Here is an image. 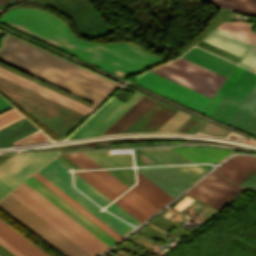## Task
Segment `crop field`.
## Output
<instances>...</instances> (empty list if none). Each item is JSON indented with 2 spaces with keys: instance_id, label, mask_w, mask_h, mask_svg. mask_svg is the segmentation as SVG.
<instances>
[{
  "instance_id": "crop-field-38",
  "label": "crop field",
  "mask_w": 256,
  "mask_h": 256,
  "mask_svg": "<svg viewBox=\"0 0 256 256\" xmlns=\"http://www.w3.org/2000/svg\"><path fill=\"white\" fill-rule=\"evenodd\" d=\"M115 204H117L119 207H121L123 210L128 212L130 215H132L134 218H136L140 222L146 218L121 198Z\"/></svg>"
},
{
  "instance_id": "crop-field-19",
  "label": "crop field",
  "mask_w": 256,
  "mask_h": 256,
  "mask_svg": "<svg viewBox=\"0 0 256 256\" xmlns=\"http://www.w3.org/2000/svg\"><path fill=\"white\" fill-rule=\"evenodd\" d=\"M139 176L140 184L132 190H134L136 193H138L140 196H142L156 208L159 209L169 200L172 199L159 188H157L154 184H152L150 181L144 178L142 175L139 174Z\"/></svg>"
},
{
  "instance_id": "crop-field-33",
  "label": "crop field",
  "mask_w": 256,
  "mask_h": 256,
  "mask_svg": "<svg viewBox=\"0 0 256 256\" xmlns=\"http://www.w3.org/2000/svg\"><path fill=\"white\" fill-rule=\"evenodd\" d=\"M75 173L78 174L80 177H82L84 180H86L88 183H90L92 186H94L96 189H98L100 192H102L111 200L117 196L113 192H111L109 189H107L105 186H103L101 183H99L97 180H95L87 172H75Z\"/></svg>"
},
{
  "instance_id": "crop-field-16",
  "label": "crop field",
  "mask_w": 256,
  "mask_h": 256,
  "mask_svg": "<svg viewBox=\"0 0 256 256\" xmlns=\"http://www.w3.org/2000/svg\"><path fill=\"white\" fill-rule=\"evenodd\" d=\"M157 100L144 95L125 114H123L103 134L122 135L139 117H141Z\"/></svg>"
},
{
  "instance_id": "crop-field-26",
  "label": "crop field",
  "mask_w": 256,
  "mask_h": 256,
  "mask_svg": "<svg viewBox=\"0 0 256 256\" xmlns=\"http://www.w3.org/2000/svg\"><path fill=\"white\" fill-rule=\"evenodd\" d=\"M102 166L130 165L129 155L108 156L106 151L85 152Z\"/></svg>"
},
{
  "instance_id": "crop-field-4",
  "label": "crop field",
  "mask_w": 256,
  "mask_h": 256,
  "mask_svg": "<svg viewBox=\"0 0 256 256\" xmlns=\"http://www.w3.org/2000/svg\"><path fill=\"white\" fill-rule=\"evenodd\" d=\"M0 207L66 256H90L9 194Z\"/></svg>"
},
{
  "instance_id": "crop-field-12",
  "label": "crop field",
  "mask_w": 256,
  "mask_h": 256,
  "mask_svg": "<svg viewBox=\"0 0 256 256\" xmlns=\"http://www.w3.org/2000/svg\"><path fill=\"white\" fill-rule=\"evenodd\" d=\"M24 182L31 186L33 189H35L37 192H39L41 195H43L45 198H47L49 201H51L54 205H56L58 208H60L62 211H64L66 214H68L70 217H72L74 220H76L83 227H85L87 230H89L91 233H93L110 247L118 242L32 176Z\"/></svg>"
},
{
  "instance_id": "crop-field-37",
  "label": "crop field",
  "mask_w": 256,
  "mask_h": 256,
  "mask_svg": "<svg viewBox=\"0 0 256 256\" xmlns=\"http://www.w3.org/2000/svg\"><path fill=\"white\" fill-rule=\"evenodd\" d=\"M239 64L253 70L256 66V42Z\"/></svg>"
},
{
  "instance_id": "crop-field-42",
  "label": "crop field",
  "mask_w": 256,
  "mask_h": 256,
  "mask_svg": "<svg viewBox=\"0 0 256 256\" xmlns=\"http://www.w3.org/2000/svg\"><path fill=\"white\" fill-rule=\"evenodd\" d=\"M245 132L250 133V134L256 136V116L253 118L251 123L245 129Z\"/></svg>"
},
{
  "instance_id": "crop-field-41",
  "label": "crop field",
  "mask_w": 256,
  "mask_h": 256,
  "mask_svg": "<svg viewBox=\"0 0 256 256\" xmlns=\"http://www.w3.org/2000/svg\"><path fill=\"white\" fill-rule=\"evenodd\" d=\"M12 189L13 188H11L9 185H7L5 182H3L0 179V198H2L4 195H6Z\"/></svg>"
},
{
  "instance_id": "crop-field-22",
  "label": "crop field",
  "mask_w": 256,
  "mask_h": 256,
  "mask_svg": "<svg viewBox=\"0 0 256 256\" xmlns=\"http://www.w3.org/2000/svg\"><path fill=\"white\" fill-rule=\"evenodd\" d=\"M33 176L36 177L38 180H40L42 183H44L47 187H49L51 190H53L59 196H61L64 200H66L68 203H70L72 206H74L77 210H79L81 213H83L85 216H87L90 220H92L94 223H96L102 229H104L107 233H109L115 239H117L119 241L120 239L123 238L119 234H117L116 232L111 230L109 227H107L105 224H103L101 221H99L96 217H94L88 211H86L82 206H80L78 203H76L74 200H72L69 196H67L65 193H63L60 189H58L55 185H53L47 179H45L44 177H42L41 175H39L37 173L34 174Z\"/></svg>"
},
{
  "instance_id": "crop-field-25",
  "label": "crop field",
  "mask_w": 256,
  "mask_h": 256,
  "mask_svg": "<svg viewBox=\"0 0 256 256\" xmlns=\"http://www.w3.org/2000/svg\"><path fill=\"white\" fill-rule=\"evenodd\" d=\"M162 164L190 162L172 148H159L144 150Z\"/></svg>"
},
{
  "instance_id": "crop-field-2",
  "label": "crop field",
  "mask_w": 256,
  "mask_h": 256,
  "mask_svg": "<svg viewBox=\"0 0 256 256\" xmlns=\"http://www.w3.org/2000/svg\"><path fill=\"white\" fill-rule=\"evenodd\" d=\"M0 61L100 104L121 85L7 34Z\"/></svg>"
},
{
  "instance_id": "crop-field-11",
  "label": "crop field",
  "mask_w": 256,
  "mask_h": 256,
  "mask_svg": "<svg viewBox=\"0 0 256 256\" xmlns=\"http://www.w3.org/2000/svg\"><path fill=\"white\" fill-rule=\"evenodd\" d=\"M255 85L256 74L244 69L210 117L227 124Z\"/></svg>"
},
{
  "instance_id": "crop-field-30",
  "label": "crop field",
  "mask_w": 256,
  "mask_h": 256,
  "mask_svg": "<svg viewBox=\"0 0 256 256\" xmlns=\"http://www.w3.org/2000/svg\"><path fill=\"white\" fill-rule=\"evenodd\" d=\"M243 68L237 66L236 69L233 71V73L230 75V77L227 79V81L224 83V85L221 87L219 92L216 94V96L213 98V100L210 102V104L207 106V108L204 110V114L208 115L212 112V110L215 108V106L218 104V102L221 100V98L224 96V94L227 92V90L230 88V86L233 84V82L236 80V78L239 76V74L242 72Z\"/></svg>"
},
{
  "instance_id": "crop-field-18",
  "label": "crop field",
  "mask_w": 256,
  "mask_h": 256,
  "mask_svg": "<svg viewBox=\"0 0 256 256\" xmlns=\"http://www.w3.org/2000/svg\"><path fill=\"white\" fill-rule=\"evenodd\" d=\"M203 41L222 48L240 57L246 52L250 44L223 33L217 29L211 32Z\"/></svg>"
},
{
  "instance_id": "crop-field-9",
  "label": "crop field",
  "mask_w": 256,
  "mask_h": 256,
  "mask_svg": "<svg viewBox=\"0 0 256 256\" xmlns=\"http://www.w3.org/2000/svg\"><path fill=\"white\" fill-rule=\"evenodd\" d=\"M244 189L223 177L210 173L186 194L218 209Z\"/></svg>"
},
{
  "instance_id": "crop-field-44",
  "label": "crop field",
  "mask_w": 256,
  "mask_h": 256,
  "mask_svg": "<svg viewBox=\"0 0 256 256\" xmlns=\"http://www.w3.org/2000/svg\"><path fill=\"white\" fill-rule=\"evenodd\" d=\"M11 107V105H9L5 100H3L0 97V111L5 110L7 108Z\"/></svg>"
},
{
  "instance_id": "crop-field-43",
  "label": "crop field",
  "mask_w": 256,
  "mask_h": 256,
  "mask_svg": "<svg viewBox=\"0 0 256 256\" xmlns=\"http://www.w3.org/2000/svg\"><path fill=\"white\" fill-rule=\"evenodd\" d=\"M242 186L256 192V183L255 182L247 180L245 183L242 184Z\"/></svg>"
},
{
  "instance_id": "crop-field-8",
  "label": "crop field",
  "mask_w": 256,
  "mask_h": 256,
  "mask_svg": "<svg viewBox=\"0 0 256 256\" xmlns=\"http://www.w3.org/2000/svg\"><path fill=\"white\" fill-rule=\"evenodd\" d=\"M57 154L59 153L13 154L0 164V178L14 188Z\"/></svg>"
},
{
  "instance_id": "crop-field-15",
  "label": "crop field",
  "mask_w": 256,
  "mask_h": 256,
  "mask_svg": "<svg viewBox=\"0 0 256 256\" xmlns=\"http://www.w3.org/2000/svg\"><path fill=\"white\" fill-rule=\"evenodd\" d=\"M137 171L174 197L190 185L165 168L138 169Z\"/></svg>"
},
{
  "instance_id": "crop-field-39",
  "label": "crop field",
  "mask_w": 256,
  "mask_h": 256,
  "mask_svg": "<svg viewBox=\"0 0 256 256\" xmlns=\"http://www.w3.org/2000/svg\"><path fill=\"white\" fill-rule=\"evenodd\" d=\"M107 209H109L110 211H112L114 214L124 218L125 220L138 225L140 224L139 222H137L135 219H133L130 215H128L126 212H124L121 208H119L117 205H115L114 203L111 204L109 207H107Z\"/></svg>"
},
{
  "instance_id": "crop-field-32",
  "label": "crop field",
  "mask_w": 256,
  "mask_h": 256,
  "mask_svg": "<svg viewBox=\"0 0 256 256\" xmlns=\"http://www.w3.org/2000/svg\"><path fill=\"white\" fill-rule=\"evenodd\" d=\"M173 117L181 120V121H185L186 119H188L190 117V115L182 112V111H178L177 113H175L173 115ZM182 124V122L174 119V118H170L165 124H163L157 131H164V132H173L177 127H179Z\"/></svg>"
},
{
  "instance_id": "crop-field-17",
  "label": "crop field",
  "mask_w": 256,
  "mask_h": 256,
  "mask_svg": "<svg viewBox=\"0 0 256 256\" xmlns=\"http://www.w3.org/2000/svg\"><path fill=\"white\" fill-rule=\"evenodd\" d=\"M0 237L23 253L25 256H48L41 249L15 231L0 219Z\"/></svg>"
},
{
  "instance_id": "crop-field-40",
  "label": "crop field",
  "mask_w": 256,
  "mask_h": 256,
  "mask_svg": "<svg viewBox=\"0 0 256 256\" xmlns=\"http://www.w3.org/2000/svg\"><path fill=\"white\" fill-rule=\"evenodd\" d=\"M0 245L4 247L6 250H8L10 253H12L14 256H24L20 252H18L16 249H14L12 246H10L8 243H6L4 240L0 238Z\"/></svg>"
},
{
  "instance_id": "crop-field-24",
  "label": "crop field",
  "mask_w": 256,
  "mask_h": 256,
  "mask_svg": "<svg viewBox=\"0 0 256 256\" xmlns=\"http://www.w3.org/2000/svg\"><path fill=\"white\" fill-rule=\"evenodd\" d=\"M210 3L229 8L238 13L256 16V0H208Z\"/></svg>"
},
{
  "instance_id": "crop-field-45",
  "label": "crop field",
  "mask_w": 256,
  "mask_h": 256,
  "mask_svg": "<svg viewBox=\"0 0 256 256\" xmlns=\"http://www.w3.org/2000/svg\"><path fill=\"white\" fill-rule=\"evenodd\" d=\"M0 256H13V255L0 246Z\"/></svg>"
},
{
  "instance_id": "crop-field-46",
  "label": "crop field",
  "mask_w": 256,
  "mask_h": 256,
  "mask_svg": "<svg viewBox=\"0 0 256 256\" xmlns=\"http://www.w3.org/2000/svg\"><path fill=\"white\" fill-rule=\"evenodd\" d=\"M254 71H256V67H255Z\"/></svg>"
},
{
  "instance_id": "crop-field-7",
  "label": "crop field",
  "mask_w": 256,
  "mask_h": 256,
  "mask_svg": "<svg viewBox=\"0 0 256 256\" xmlns=\"http://www.w3.org/2000/svg\"><path fill=\"white\" fill-rule=\"evenodd\" d=\"M67 169V167L55 159L38 172L52 183H54L56 186H58L60 189H62L64 192H66L68 195H70L80 205H82L85 209H87L99 220L119 233L121 236L124 237L128 232L132 230L131 227L125 225L113 216L105 212L100 213L98 211L99 208L74 191L71 186L70 175L65 172Z\"/></svg>"
},
{
  "instance_id": "crop-field-34",
  "label": "crop field",
  "mask_w": 256,
  "mask_h": 256,
  "mask_svg": "<svg viewBox=\"0 0 256 256\" xmlns=\"http://www.w3.org/2000/svg\"><path fill=\"white\" fill-rule=\"evenodd\" d=\"M82 168L100 167L81 152L64 153ZM67 157V158H68ZM71 160V161H72ZM80 167V168H81Z\"/></svg>"
},
{
  "instance_id": "crop-field-6",
  "label": "crop field",
  "mask_w": 256,
  "mask_h": 256,
  "mask_svg": "<svg viewBox=\"0 0 256 256\" xmlns=\"http://www.w3.org/2000/svg\"><path fill=\"white\" fill-rule=\"evenodd\" d=\"M122 89L133 91L136 94L125 104L113 97L63 144L92 143L143 96V94L127 86Z\"/></svg>"
},
{
  "instance_id": "crop-field-23",
  "label": "crop field",
  "mask_w": 256,
  "mask_h": 256,
  "mask_svg": "<svg viewBox=\"0 0 256 256\" xmlns=\"http://www.w3.org/2000/svg\"><path fill=\"white\" fill-rule=\"evenodd\" d=\"M252 27L253 24L246 22H225L218 29L253 44L256 40V33L251 31Z\"/></svg>"
},
{
  "instance_id": "crop-field-35",
  "label": "crop field",
  "mask_w": 256,
  "mask_h": 256,
  "mask_svg": "<svg viewBox=\"0 0 256 256\" xmlns=\"http://www.w3.org/2000/svg\"><path fill=\"white\" fill-rule=\"evenodd\" d=\"M24 118L14 108L0 114V129Z\"/></svg>"
},
{
  "instance_id": "crop-field-1",
  "label": "crop field",
  "mask_w": 256,
  "mask_h": 256,
  "mask_svg": "<svg viewBox=\"0 0 256 256\" xmlns=\"http://www.w3.org/2000/svg\"><path fill=\"white\" fill-rule=\"evenodd\" d=\"M17 30L32 35L122 78L163 60L155 58L130 44L96 45L72 37L58 19L37 10H8L0 20Z\"/></svg>"
},
{
  "instance_id": "crop-field-27",
  "label": "crop field",
  "mask_w": 256,
  "mask_h": 256,
  "mask_svg": "<svg viewBox=\"0 0 256 256\" xmlns=\"http://www.w3.org/2000/svg\"><path fill=\"white\" fill-rule=\"evenodd\" d=\"M121 198H123L125 201L130 203L132 206L137 208L139 211H141L148 217L154 214L156 211H158V209H156L154 206H152L150 203H148L146 200H144L131 189L127 193H125Z\"/></svg>"
},
{
  "instance_id": "crop-field-47",
  "label": "crop field",
  "mask_w": 256,
  "mask_h": 256,
  "mask_svg": "<svg viewBox=\"0 0 256 256\" xmlns=\"http://www.w3.org/2000/svg\"><path fill=\"white\" fill-rule=\"evenodd\" d=\"M2 12V10H0V13Z\"/></svg>"
},
{
  "instance_id": "crop-field-5",
  "label": "crop field",
  "mask_w": 256,
  "mask_h": 256,
  "mask_svg": "<svg viewBox=\"0 0 256 256\" xmlns=\"http://www.w3.org/2000/svg\"><path fill=\"white\" fill-rule=\"evenodd\" d=\"M152 71L209 99H211L219 86L225 80V77L182 58Z\"/></svg>"
},
{
  "instance_id": "crop-field-14",
  "label": "crop field",
  "mask_w": 256,
  "mask_h": 256,
  "mask_svg": "<svg viewBox=\"0 0 256 256\" xmlns=\"http://www.w3.org/2000/svg\"><path fill=\"white\" fill-rule=\"evenodd\" d=\"M255 171L256 157L244 155L232 157L214 170V172L238 184Z\"/></svg>"
},
{
  "instance_id": "crop-field-29",
  "label": "crop field",
  "mask_w": 256,
  "mask_h": 256,
  "mask_svg": "<svg viewBox=\"0 0 256 256\" xmlns=\"http://www.w3.org/2000/svg\"><path fill=\"white\" fill-rule=\"evenodd\" d=\"M168 169L190 184L207 172L199 166L171 167Z\"/></svg>"
},
{
  "instance_id": "crop-field-48",
  "label": "crop field",
  "mask_w": 256,
  "mask_h": 256,
  "mask_svg": "<svg viewBox=\"0 0 256 256\" xmlns=\"http://www.w3.org/2000/svg\"><path fill=\"white\" fill-rule=\"evenodd\" d=\"M2 33V31H0V34Z\"/></svg>"
},
{
  "instance_id": "crop-field-13",
  "label": "crop field",
  "mask_w": 256,
  "mask_h": 256,
  "mask_svg": "<svg viewBox=\"0 0 256 256\" xmlns=\"http://www.w3.org/2000/svg\"><path fill=\"white\" fill-rule=\"evenodd\" d=\"M0 77L7 79L15 84H18L24 88H27L35 93H38L44 97H47L55 102H58L66 107H69L75 111H78L86 116H88L96 107L97 105H93L90 108L73 101L67 97H64L56 92H53L47 88H44L38 84H35L27 79H24L18 75H15L9 71H6L2 68H0Z\"/></svg>"
},
{
  "instance_id": "crop-field-31",
  "label": "crop field",
  "mask_w": 256,
  "mask_h": 256,
  "mask_svg": "<svg viewBox=\"0 0 256 256\" xmlns=\"http://www.w3.org/2000/svg\"><path fill=\"white\" fill-rule=\"evenodd\" d=\"M76 186L104 206L110 200L103 196L100 192L94 189L91 185L85 182L82 178L75 174Z\"/></svg>"
},
{
  "instance_id": "crop-field-36",
  "label": "crop field",
  "mask_w": 256,
  "mask_h": 256,
  "mask_svg": "<svg viewBox=\"0 0 256 256\" xmlns=\"http://www.w3.org/2000/svg\"><path fill=\"white\" fill-rule=\"evenodd\" d=\"M199 132H201L203 134L211 135V136L224 137L228 134L229 131L208 122L204 127H202L199 130Z\"/></svg>"
},
{
  "instance_id": "crop-field-21",
  "label": "crop field",
  "mask_w": 256,
  "mask_h": 256,
  "mask_svg": "<svg viewBox=\"0 0 256 256\" xmlns=\"http://www.w3.org/2000/svg\"><path fill=\"white\" fill-rule=\"evenodd\" d=\"M177 149L194 162L218 161L230 152L209 147H178Z\"/></svg>"
},
{
  "instance_id": "crop-field-3",
  "label": "crop field",
  "mask_w": 256,
  "mask_h": 256,
  "mask_svg": "<svg viewBox=\"0 0 256 256\" xmlns=\"http://www.w3.org/2000/svg\"><path fill=\"white\" fill-rule=\"evenodd\" d=\"M9 194L92 256L110 248L24 182Z\"/></svg>"
},
{
  "instance_id": "crop-field-20",
  "label": "crop field",
  "mask_w": 256,
  "mask_h": 256,
  "mask_svg": "<svg viewBox=\"0 0 256 256\" xmlns=\"http://www.w3.org/2000/svg\"><path fill=\"white\" fill-rule=\"evenodd\" d=\"M256 113V87L229 121L228 125L241 131L246 127L249 121Z\"/></svg>"
},
{
  "instance_id": "crop-field-10",
  "label": "crop field",
  "mask_w": 256,
  "mask_h": 256,
  "mask_svg": "<svg viewBox=\"0 0 256 256\" xmlns=\"http://www.w3.org/2000/svg\"><path fill=\"white\" fill-rule=\"evenodd\" d=\"M136 80L140 86L197 112H200L208 101V99L200 95L188 91L149 72L137 77Z\"/></svg>"
},
{
  "instance_id": "crop-field-28",
  "label": "crop field",
  "mask_w": 256,
  "mask_h": 256,
  "mask_svg": "<svg viewBox=\"0 0 256 256\" xmlns=\"http://www.w3.org/2000/svg\"><path fill=\"white\" fill-rule=\"evenodd\" d=\"M88 173L94 176L97 180H99L117 195L124 191L126 188H128L107 171H96Z\"/></svg>"
}]
</instances>
